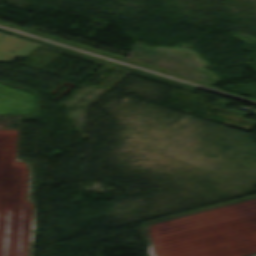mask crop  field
<instances>
[{"mask_svg": "<svg viewBox=\"0 0 256 256\" xmlns=\"http://www.w3.org/2000/svg\"><path fill=\"white\" fill-rule=\"evenodd\" d=\"M36 47L38 45L0 35V62H11L17 56L24 58Z\"/></svg>", "mask_w": 256, "mask_h": 256, "instance_id": "8a807250", "label": "crop field"}]
</instances>
